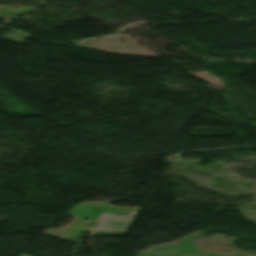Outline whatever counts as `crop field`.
<instances>
[{"label":"crop field","instance_id":"obj_1","mask_svg":"<svg viewBox=\"0 0 256 256\" xmlns=\"http://www.w3.org/2000/svg\"><path fill=\"white\" fill-rule=\"evenodd\" d=\"M137 213L138 212H130L128 216H121V217H116L114 215L103 213L96 219V222H99V224L96 226L94 230L125 232L127 231L130 224L132 223V220H130V217L133 215H136ZM126 219H129V221H127Z\"/></svg>","mask_w":256,"mask_h":256},{"label":"crop field","instance_id":"obj_2","mask_svg":"<svg viewBox=\"0 0 256 256\" xmlns=\"http://www.w3.org/2000/svg\"><path fill=\"white\" fill-rule=\"evenodd\" d=\"M22 256H26V255L22 254Z\"/></svg>","mask_w":256,"mask_h":256}]
</instances>
